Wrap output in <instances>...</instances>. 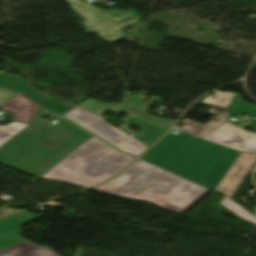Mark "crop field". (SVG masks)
Instances as JSON below:
<instances>
[{
    "label": "crop field",
    "mask_w": 256,
    "mask_h": 256,
    "mask_svg": "<svg viewBox=\"0 0 256 256\" xmlns=\"http://www.w3.org/2000/svg\"><path fill=\"white\" fill-rule=\"evenodd\" d=\"M90 137L65 119L30 124L0 147V162L40 178Z\"/></svg>",
    "instance_id": "1"
},
{
    "label": "crop field",
    "mask_w": 256,
    "mask_h": 256,
    "mask_svg": "<svg viewBox=\"0 0 256 256\" xmlns=\"http://www.w3.org/2000/svg\"><path fill=\"white\" fill-rule=\"evenodd\" d=\"M238 154L184 133H169L141 160L213 191Z\"/></svg>",
    "instance_id": "2"
},
{
    "label": "crop field",
    "mask_w": 256,
    "mask_h": 256,
    "mask_svg": "<svg viewBox=\"0 0 256 256\" xmlns=\"http://www.w3.org/2000/svg\"><path fill=\"white\" fill-rule=\"evenodd\" d=\"M202 187L139 160L117 178L92 190L182 213L209 192Z\"/></svg>",
    "instance_id": "3"
},
{
    "label": "crop field",
    "mask_w": 256,
    "mask_h": 256,
    "mask_svg": "<svg viewBox=\"0 0 256 256\" xmlns=\"http://www.w3.org/2000/svg\"><path fill=\"white\" fill-rule=\"evenodd\" d=\"M133 160L135 158L93 136L41 178L88 189L110 178Z\"/></svg>",
    "instance_id": "4"
},
{
    "label": "crop field",
    "mask_w": 256,
    "mask_h": 256,
    "mask_svg": "<svg viewBox=\"0 0 256 256\" xmlns=\"http://www.w3.org/2000/svg\"><path fill=\"white\" fill-rule=\"evenodd\" d=\"M65 1L71 5V10L84 20L80 24L86 27V33L94 31L102 40L108 42L127 36L121 32V28L140 20L130 12L103 11L81 0ZM126 16L129 18L125 19Z\"/></svg>",
    "instance_id": "5"
},
{
    "label": "crop field",
    "mask_w": 256,
    "mask_h": 256,
    "mask_svg": "<svg viewBox=\"0 0 256 256\" xmlns=\"http://www.w3.org/2000/svg\"><path fill=\"white\" fill-rule=\"evenodd\" d=\"M64 116L128 153L139 156L149 148L135 141L130 136L116 129L115 127L105 123L102 117L94 115L78 107L74 108Z\"/></svg>",
    "instance_id": "6"
},
{
    "label": "crop field",
    "mask_w": 256,
    "mask_h": 256,
    "mask_svg": "<svg viewBox=\"0 0 256 256\" xmlns=\"http://www.w3.org/2000/svg\"><path fill=\"white\" fill-rule=\"evenodd\" d=\"M250 136L251 138H247ZM202 139L224 145L242 152H256V133L248 132L227 122Z\"/></svg>",
    "instance_id": "7"
},
{
    "label": "crop field",
    "mask_w": 256,
    "mask_h": 256,
    "mask_svg": "<svg viewBox=\"0 0 256 256\" xmlns=\"http://www.w3.org/2000/svg\"><path fill=\"white\" fill-rule=\"evenodd\" d=\"M0 88L18 91L40 106L62 114L70 107L33 89L21 76L0 74Z\"/></svg>",
    "instance_id": "8"
},
{
    "label": "crop field",
    "mask_w": 256,
    "mask_h": 256,
    "mask_svg": "<svg viewBox=\"0 0 256 256\" xmlns=\"http://www.w3.org/2000/svg\"><path fill=\"white\" fill-rule=\"evenodd\" d=\"M255 162L256 154H245L240 152L219 184L214 189V192L231 198Z\"/></svg>",
    "instance_id": "9"
},
{
    "label": "crop field",
    "mask_w": 256,
    "mask_h": 256,
    "mask_svg": "<svg viewBox=\"0 0 256 256\" xmlns=\"http://www.w3.org/2000/svg\"><path fill=\"white\" fill-rule=\"evenodd\" d=\"M27 211L0 219V250L6 249L26 240L22 239L19 227L37 218Z\"/></svg>",
    "instance_id": "10"
},
{
    "label": "crop field",
    "mask_w": 256,
    "mask_h": 256,
    "mask_svg": "<svg viewBox=\"0 0 256 256\" xmlns=\"http://www.w3.org/2000/svg\"><path fill=\"white\" fill-rule=\"evenodd\" d=\"M39 107L18 93L1 108L16 113L13 117L14 120L29 122Z\"/></svg>",
    "instance_id": "11"
},
{
    "label": "crop field",
    "mask_w": 256,
    "mask_h": 256,
    "mask_svg": "<svg viewBox=\"0 0 256 256\" xmlns=\"http://www.w3.org/2000/svg\"><path fill=\"white\" fill-rule=\"evenodd\" d=\"M148 104L139 100H133L129 93L126 94L121 112L145 119L147 121L170 128L175 122L146 116Z\"/></svg>",
    "instance_id": "12"
},
{
    "label": "crop field",
    "mask_w": 256,
    "mask_h": 256,
    "mask_svg": "<svg viewBox=\"0 0 256 256\" xmlns=\"http://www.w3.org/2000/svg\"><path fill=\"white\" fill-rule=\"evenodd\" d=\"M0 256H59L52 250L40 247L30 241L0 251Z\"/></svg>",
    "instance_id": "13"
},
{
    "label": "crop field",
    "mask_w": 256,
    "mask_h": 256,
    "mask_svg": "<svg viewBox=\"0 0 256 256\" xmlns=\"http://www.w3.org/2000/svg\"><path fill=\"white\" fill-rule=\"evenodd\" d=\"M227 117L219 116L212 121L206 123L205 125L190 121V120H183V127L175 126L174 130L176 131H182L184 133L190 134L195 137H202L206 133L210 132L220 124L224 123L226 121Z\"/></svg>",
    "instance_id": "14"
},
{
    "label": "crop field",
    "mask_w": 256,
    "mask_h": 256,
    "mask_svg": "<svg viewBox=\"0 0 256 256\" xmlns=\"http://www.w3.org/2000/svg\"><path fill=\"white\" fill-rule=\"evenodd\" d=\"M234 93H223L216 91L214 95H209L201 103L213 106L209 113L227 115V107L233 97Z\"/></svg>",
    "instance_id": "15"
},
{
    "label": "crop field",
    "mask_w": 256,
    "mask_h": 256,
    "mask_svg": "<svg viewBox=\"0 0 256 256\" xmlns=\"http://www.w3.org/2000/svg\"><path fill=\"white\" fill-rule=\"evenodd\" d=\"M221 205L226 208L228 211H230L231 213H233L234 215H236L237 217H239L240 219L251 223L253 225L256 226V217L253 216L251 213H249L248 211H246L244 208H242L241 206H239L237 203H235L233 200L229 199V198H225L224 200H222Z\"/></svg>",
    "instance_id": "16"
},
{
    "label": "crop field",
    "mask_w": 256,
    "mask_h": 256,
    "mask_svg": "<svg viewBox=\"0 0 256 256\" xmlns=\"http://www.w3.org/2000/svg\"><path fill=\"white\" fill-rule=\"evenodd\" d=\"M234 98V97H233ZM228 113L235 116L239 113L256 117V106L242 102V98L236 94L231 105L228 108Z\"/></svg>",
    "instance_id": "17"
},
{
    "label": "crop field",
    "mask_w": 256,
    "mask_h": 256,
    "mask_svg": "<svg viewBox=\"0 0 256 256\" xmlns=\"http://www.w3.org/2000/svg\"><path fill=\"white\" fill-rule=\"evenodd\" d=\"M78 107L83 108V109H85L87 111H90L92 113H95L99 116H101L108 109L116 110V111H118V109H119V107H117V106L100 103V102L95 101L93 99L86 100L85 102L78 105Z\"/></svg>",
    "instance_id": "18"
},
{
    "label": "crop field",
    "mask_w": 256,
    "mask_h": 256,
    "mask_svg": "<svg viewBox=\"0 0 256 256\" xmlns=\"http://www.w3.org/2000/svg\"><path fill=\"white\" fill-rule=\"evenodd\" d=\"M27 124L13 122L9 126H0V146L22 130Z\"/></svg>",
    "instance_id": "19"
},
{
    "label": "crop field",
    "mask_w": 256,
    "mask_h": 256,
    "mask_svg": "<svg viewBox=\"0 0 256 256\" xmlns=\"http://www.w3.org/2000/svg\"><path fill=\"white\" fill-rule=\"evenodd\" d=\"M45 114L52 116V118L60 116L56 112L47 111L44 108L40 107L39 110L35 113V115L30 120V122L42 120L41 118Z\"/></svg>",
    "instance_id": "20"
},
{
    "label": "crop field",
    "mask_w": 256,
    "mask_h": 256,
    "mask_svg": "<svg viewBox=\"0 0 256 256\" xmlns=\"http://www.w3.org/2000/svg\"><path fill=\"white\" fill-rule=\"evenodd\" d=\"M16 94V92L0 90V106L10 100Z\"/></svg>",
    "instance_id": "21"
},
{
    "label": "crop field",
    "mask_w": 256,
    "mask_h": 256,
    "mask_svg": "<svg viewBox=\"0 0 256 256\" xmlns=\"http://www.w3.org/2000/svg\"><path fill=\"white\" fill-rule=\"evenodd\" d=\"M15 211H19V210H15L13 208L0 209V216L4 215V214L11 213V212H15Z\"/></svg>",
    "instance_id": "22"
}]
</instances>
